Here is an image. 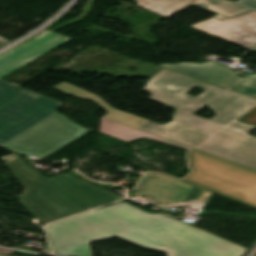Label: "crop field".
I'll return each mask as SVG.
<instances>
[{"label": "crop field", "mask_w": 256, "mask_h": 256, "mask_svg": "<svg viewBox=\"0 0 256 256\" xmlns=\"http://www.w3.org/2000/svg\"><path fill=\"white\" fill-rule=\"evenodd\" d=\"M6 164L25 188L22 202L44 223L123 198L66 173L47 179L20 158Z\"/></svg>", "instance_id": "4"}, {"label": "crop field", "mask_w": 256, "mask_h": 256, "mask_svg": "<svg viewBox=\"0 0 256 256\" xmlns=\"http://www.w3.org/2000/svg\"><path fill=\"white\" fill-rule=\"evenodd\" d=\"M191 27L246 50L256 47V12L254 11L223 21L212 18Z\"/></svg>", "instance_id": "7"}, {"label": "crop field", "mask_w": 256, "mask_h": 256, "mask_svg": "<svg viewBox=\"0 0 256 256\" xmlns=\"http://www.w3.org/2000/svg\"><path fill=\"white\" fill-rule=\"evenodd\" d=\"M18 156L13 154V155H10V156H7V157H3L4 161L6 160H10V159H13V158H17Z\"/></svg>", "instance_id": "12"}, {"label": "crop field", "mask_w": 256, "mask_h": 256, "mask_svg": "<svg viewBox=\"0 0 256 256\" xmlns=\"http://www.w3.org/2000/svg\"><path fill=\"white\" fill-rule=\"evenodd\" d=\"M207 90L197 98L185 94L192 87ZM54 88L70 95L90 99L109 113L103 118L129 125L233 162L256 169V137L248 134L256 126L235 120L256 104V99L163 69L150 78L144 91L150 99L178 108L173 121L161 125L117 110L97 96L66 82ZM217 114L210 121L192 115L205 105Z\"/></svg>", "instance_id": "1"}, {"label": "crop field", "mask_w": 256, "mask_h": 256, "mask_svg": "<svg viewBox=\"0 0 256 256\" xmlns=\"http://www.w3.org/2000/svg\"><path fill=\"white\" fill-rule=\"evenodd\" d=\"M138 5L158 15L168 17L191 5L228 17L251 11L225 0H136Z\"/></svg>", "instance_id": "8"}, {"label": "crop field", "mask_w": 256, "mask_h": 256, "mask_svg": "<svg viewBox=\"0 0 256 256\" xmlns=\"http://www.w3.org/2000/svg\"><path fill=\"white\" fill-rule=\"evenodd\" d=\"M253 51H255V52H256V50H253Z\"/></svg>", "instance_id": "14"}, {"label": "crop field", "mask_w": 256, "mask_h": 256, "mask_svg": "<svg viewBox=\"0 0 256 256\" xmlns=\"http://www.w3.org/2000/svg\"><path fill=\"white\" fill-rule=\"evenodd\" d=\"M160 66L224 87L237 74V72L212 61L205 63L160 64Z\"/></svg>", "instance_id": "9"}, {"label": "crop field", "mask_w": 256, "mask_h": 256, "mask_svg": "<svg viewBox=\"0 0 256 256\" xmlns=\"http://www.w3.org/2000/svg\"><path fill=\"white\" fill-rule=\"evenodd\" d=\"M56 254L91 256L89 243L117 236L168 256H241L246 248L125 202L90 211L47 227Z\"/></svg>", "instance_id": "2"}, {"label": "crop field", "mask_w": 256, "mask_h": 256, "mask_svg": "<svg viewBox=\"0 0 256 256\" xmlns=\"http://www.w3.org/2000/svg\"><path fill=\"white\" fill-rule=\"evenodd\" d=\"M100 132L126 142L145 137L186 148L187 167L191 172L180 180L256 208L254 169L102 118Z\"/></svg>", "instance_id": "5"}, {"label": "crop field", "mask_w": 256, "mask_h": 256, "mask_svg": "<svg viewBox=\"0 0 256 256\" xmlns=\"http://www.w3.org/2000/svg\"><path fill=\"white\" fill-rule=\"evenodd\" d=\"M68 40L45 30L0 55V144L45 158L90 131L55 112L59 102L1 79Z\"/></svg>", "instance_id": "3"}, {"label": "crop field", "mask_w": 256, "mask_h": 256, "mask_svg": "<svg viewBox=\"0 0 256 256\" xmlns=\"http://www.w3.org/2000/svg\"><path fill=\"white\" fill-rule=\"evenodd\" d=\"M133 195L166 211L172 206L206 205L212 193L169 176L147 173Z\"/></svg>", "instance_id": "6"}, {"label": "crop field", "mask_w": 256, "mask_h": 256, "mask_svg": "<svg viewBox=\"0 0 256 256\" xmlns=\"http://www.w3.org/2000/svg\"><path fill=\"white\" fill-rule=\"evenodd\" d=\"M7 43H9V41H7V40H5V39L0 37V47L5 45V44H7Z\"/></svg>", "instance_id": "13"}, {"label": "crop field", "mask_w": 256, "mask_h": 256, "mask_svg": "<svg viewBox=\"0 0 256 256\" xmlns=\"http://www.w3.org/2000/svg\"><path fill=\"white\" fill-rule=\"evenodd\" d=\"M230 89L256 96V75L248 74L245 79L237 77Z\"/></svg>", "instance_id": "10"}, {"label": "crop field", "mask_w": 256, "mask_h": 256, "mask_svg": "<svg viewBox=\"0 0 256 256\" xmlns=\"http://www.w3.org/2000/svg\"><path fill=\"white\" fill-rule=\"evenodd\" d=\"M254 256H256V254Z\"/></svg>", "instance_id": "16"}, {"label": "crop field", "mask_w": 256, "mask_h": 256, "mask_svg": "<svg viewBox=\"0 0 256 256\" xmlns=\"http://www.w3.org/2000/svg\"><path fill=\"white\" fill-rule=\"evenodd\" d=\"M237 3L256 9V0H239Z\"/></svg>", "instance_id": "11"}, {"label": "crop field", "mask_w": 256, "mask_h": 256, "mask_svg": "<svg viewBox=\"0 0 256 256\" xmlns=\"http://www.w3.org/2000/svg\"><path fill=\"white\" fill-rule=\"evenodd\" d=\"M0 256H3V255H0Z\"/></svg>", "instance_id": "15"}]
</instances>
